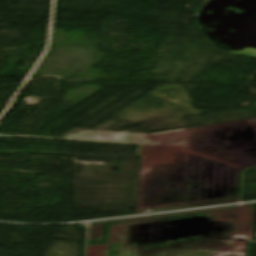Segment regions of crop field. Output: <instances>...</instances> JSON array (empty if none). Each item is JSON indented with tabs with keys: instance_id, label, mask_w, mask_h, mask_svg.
<instances>
[{
	"instance_id": "obj_1",
	"label": "crop field",
	"mask_w": 256,
	"mask_h": 256,
	"mask_svg": "<svg viewBox=\"0 0 256 256\" xmlns=\"http://www.w3.org/2000/svg\"><path fill=\"white\" fill-rule=\"evenodd\" d=\"M63 138L133 142L148 146L193 148V128L152 135L71 131Z\"/></svg>"
}]
</instances>
